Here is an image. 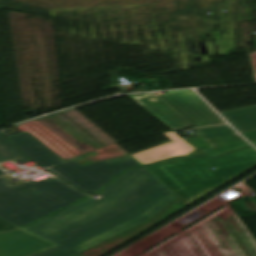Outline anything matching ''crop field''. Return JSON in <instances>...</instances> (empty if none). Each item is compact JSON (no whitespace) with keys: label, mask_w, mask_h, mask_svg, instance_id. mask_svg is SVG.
Returning <instances> with one entry per match:
<instances>
[{"label":"crop field","mask_w":256,"mask_h":256,"mask_svg":"<svg viewBox=\"0 0 256 256\" xmlns=\"http://www.w3.org/2000/svg\"><path fill=\"white\" fill-rule=\"evenodd\" d=\"M101 195L96 200L93 197ZM95 196L24 229L57 247L35 256H77L156 215L176 197L144 166Z\"/></svg>","instance_id":"8a807250"},{"label":"crop field","mask_w":256,"mask_h":256,"mask_svg":"<svg viewBox=\"0 0 256 256\" xmlns=\"http://www.w3.org/2000/svg\"><path fill=\"white\" fill-rule=\"evenodd\" d=\"M85 197L52 176L18 186L0 177V218L22 227Z\"/></svg>","instance_id":"ac0d7876"},{"label":"crop field","mask_w":256,"mask_h":256,"mask_svg":"<svg viewBox=\"0 0 256 256\" xmlns=\"http://www.w3.org/2000/svg\"><path fill=\"white\" fill-rule=\"evenodd\" d=\"M23 154L82 192L95 193L127 168L142 165L131 155L83 166L62 160L28 133L9 137ZM17 145V146H18Z\"/></svg>","instance_id":"34b2d1b8"},{"label":"crop field","mask_w":256,"mask_h":256,"mask_svg":"<svg viewBox=\"0 0 256 256\" xmlns=\"http://www.w3.org/2000/svg\"><path fill=\"white\" fill-rule=\"evenodd\" d=\"M137 103L151 112L172 130L193 126L202 127L226 123L206 103L173 94L145 96L130 95Z\"/></svg>","instance_id":"412701ff"},{"label":"crop field","mask_w":256,"mask_h":256,"mask_svg":"<svg viewBox=\"0 0 256 256\" xmlns=\"http://www.w3.org/2000/svg\"><path fill=\"white\" fill-rule=\"evenodd\" d=\"M256 166V159L235 164L155 175L186 206Z\"/></svg>","instance_id":"f4fd0767"},{"label":"crop field","mask_w":256,"mask_h":256,"mask_svg":"<svg viewBox=\"0 0 256 256\" xmlns=\"http://www.w3.org/2000/svg\"><path fill=\"white\" fill-rule=\"evenodd\" d=\"M256 158L253 147L238 150L218 158L184 157L150 166H146L153 174L205 168Z\"/></svg>","instance_id":"dd49c442"},{"label":"crop field","mask_w":256,"mask_h":256,"mask_svg":"<svg viewBox=\"0 0 256 256\" xmlns=\"http://www.w3.org/2000/svg\"><path fill=\"white\" fill-rule=\"evenodd\" d=\"M53 245L21 230L0 233V256H29Z\"/></svg>","instance_id":"e52e79f7"},{"label":"crop field","mask_w":256,"mask_h":256,"mask_svg":"<svg viewBox=\"0 0 256 256\" xmlns=\"http://www.w3.org/2000/svg\"><path fill=\"white\" fill-rule=\"evenodd\" d=\"M182 207L184 206L176 199L167 207H165L162 211H160L156 216H154L151 220L137 227H134L128 231H125L85 252H82L78 254V256H101L102 254L108 252L109 250L113 249L119 244L125 242L131 237L149 228L150 226L154 225L155 223L159 222L160 220L164 219L165 217L169 216L170 214L174 213L175 211L179 210Z\"/></svg>","instance_id":"d8731c3e"},{"label":"crop field","mask_w":256,"mask_h":256,"mask_svg":"<svg viewBox=\"0 0 256 256\" xmlns=\"http://www.w3.org/2000/svg\"><path fill=\"white\" fill-rule=\"evenodd\" d=\"M164 135L170 138L172 142L132 154V156H134L141 163L147 164L172 156L187 155L195 150L183 138L173 131L165 132Z\"/></svg>","instance_id":"5a996713"},{"label":"crop field","mask_w":256,"mask_h":256,"mask_svg":"<svg viewBox=\"0 0 256 256\" xmlns=\"http://www.w3.org/2000/svg\"><path fill=\"white\" fill-rule=\"evenodd\" d=\"M239 132L256 128V105L221 113Z\"/></svg>","instance_id":"3316defc"},{"label":"crop field","mask_w":256,"mask_h":256,"mask_svg":"<svg viewBox=\"0 0 256 256\" xmlns=\"http://www.w3.org/2000/svg\"><path fill=\"white\" fill-rule=\"evenodd\" d=\"M5 160L26 161L28 159L19 153L14 144L0 134V163Z\"/></svg>","instance_id":"28ad6ade"},{"label":"crop field","mask_w":256,"mask_h":256,"mask_svg":"<svg viewBox=\"0 0 256 256\" xmlns=\"http://www.w3.org/2000/svg\"><path fill=\"white\" fill-rule=\"evenodd\" d=\"M196 131L205 139H212L221 136L235 134L236 132L228 125H219L208 128L196 129Z\"/></svg>","instance_id":"d1516ede"},{"label":"crop field","mask_w":256,"mask_h":256,"mask_svg":"<svg viewBox=\"0 0 256 256\" xmlns=\"http://www.w3.org/2000/svg\"><path fill=\"white\" fill-rule=\"evenodd\" d=\"M186 141L196 149L189 155H206L202 151L213 148L201 136L187 139Z\"/></svg>","instance_id":"22f410ed"},{"label":"crop field","mask_w":256,"mask_h":256,"mask_svg":"<svg viewBox=\"0 0 256 256\" xmlns=\"http://www.w3.org/2000/svg\"><path fill=\"white\" fill-rule=\"evenodd\" d=\"M243 140L244 139L242 137H240L238 134H235L231 136L208 140L207 142L215 148V147H219V146H223V145H227V144H231V143H235Z\"/></svg>","instance_id":"cbeb9de0"},{"label":"crop field","mask_w":256,"mask_h":256,"mask_svg":"<svg viewBox=\"0 0 256 256\" xmlns=\"http://www.w3.org/2000/svg\"><path fill=\"white\" fill-rule=\"evenodd\" d=\"M246 145H248V142L244 141V142H240V143H236V144H232V145H228V146H224V147H220V148H216V149L207 150L204 152L208 156H215V155L223 154V153L244 147Z\"/></svg>","instance_id":"5142ce71"},{"label":"crop field","mask_w":256,"mask_h":256,"mask_svg":"<svg viewBox=\"0 0 256 256\" xmlns=\"http://www.w3.org/2000/svg\"><path fill=\"white\" fill-rule=\"evenodd\" d=\"M169 93L178 94V95H182V96H186V97H190V98H194V99L203 101L192 90H188V91H174V92H169Z\"/></svg>","instance_id":"d9b57169"},{"label":"crop field","mask_w":256,"mask_h":256,"mask_svg":"<svg viewBox=\"0 0 256 256\" xmlns=\"http://www.w3.org/2000/svg\"><path fill=\"white\" fill-rule=\"evenodd\" d=\"M12 228H17L16 226L0 219V231H4V230H8V229H12Z\"/></svg>","instance_id":"733c2abd"},{"label":"crop field","mask_w":256,"mask_h":256,"mask_svg":"<svg viewBox=\"0 0 256 256\" xmlns=\"http://www.w3.org/2000/svg\"><path fill=\"white\" fill-rule=\"evenodd\" d=\"M241 135H243L248 140L256 139V130L255 131L246 132V133H242Z\"/></svg>","instance_id":"4a817a6b"},{"label":"crop field","mask_w":256,"mask_h":256,"mask_svg":"<svg viewBox=\"0 0 256 256\" xmlns=\"http://www.w3.org/2000/svg\"><path fill=\"white\" fill-rule=\"evenodd\" d=\"M250 142L254 143V142H256V140H252V141H250Z\"/></svg>","instance_id":"bc2a9ffb"},{"label":"crop field","mask_w":256,"mask_h":256,"mask_svg":"<svg viewBox=\"0 0 256 256\" xmlns=\"http://www.w3.org/2000/svg\"><path fill=\"white\" fill-rule=\"evenodd\" d=\"M255 147H256V145H255Z\"/></svg>","instance_id":"214f88e0"}]
</instances>
